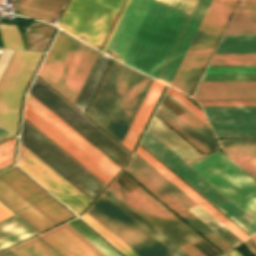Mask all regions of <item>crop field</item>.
Here are the masks:
<instances>
[{"label":"crop field","instance_id":"b54c1fbb","mask_svg":"<svg viewBox=\"0 0 256 256\" xmlns=\"http://www.w3.org/2000/svg\"><path fill=\"white\" fill-rule=\"evenodd\" d=\"M156 115H158L162 120L169 124L173 129L180 133L184 138H186L190 143L197 147L204 154L209 152L202 145H200L196 140H194L190 135L183 131L179 126H177L173 121H171L167 116H165L161 111L157 109Z\"/></svg>","mask_w":256,"mask_h":256},{"label":"crop field","instance_id":"c035e120","mask_svg":"<svg viewBox=\"0 0 256 256\" xmlns=\"http://www.w3.org/2000/svg\"><path fill=\"white\" fill-rule=\"evenodd\" d=\"M205 74H256V67H208Z\"/></svg>","mask_w":256,"mask_h":256},{"label":"crop field","instance_id":"412701ff","mask_svg":"<svg viewBox=\"0 0 256 256\" xmlns=\"http://www.w3.org/2000/svg\"><path fill=\"white\" fill-rule=\"evenodd\" d=\"M107 189L188 256L219 255L122 173Z\"/></svg>","mask_w":256,"mask_h":256},{"label":"crop field","instance_id":"1d79db26","mask_svg":"<svg viewBox=\"0 0 256 256\" xmlns=\"http://www.w3.org/2000/svg\"><path fill=\"white\" fill-rule=\"evenodd\" d=\"M0 256H16L14 253H12L10 250L1 253Z\"/></svg>","mask_w":256,"mask_h":256},{"label":"crop field","instance_id":"750c4746","mask_svg":"<svg viewBox=\"0 0 256 256\" xmlns=\"http://www.w3.org/2000/svg\"><path fill=\"white\" fill-rule=\"evenodd\" d=\"M215 53H256V36H224Z\"/></svg>","mask_w":256,"mask_h":256},{"label":"crop field","instance_id":"a9b5d70f","mask_svg":"<svg viewBox=\"0 0 256 256\" xmlns=\"http://www.w3.org/2000/svg\"><path fill=\"white\" fill-rule=\"evenodd\" d=\"M163 84L153 81L124 141L123 145L127 147L130 151L132 150L162 88Z\"/></svg>","mask_w":256,"mask_h":256},{"label":"crop field","instance_id":"1d83c4d3","mask_svg":"<svg viewBox=\"0 0 256 256\" xmlns=\"http://www.w3.org/2000/svg\"><path fill=\"white\" fill-rule=\"evenodd\" d=\"M18 256H59L37 237L11 248Z\"/></svg>","mask_w":256,"mask_h":256},{"label":"crop field","instance_id":"ac0d7876","mask_svg":"<svg viewBox=\"0 0 256 256\" xmlns=\"http://www.w3.org/2000/svg\"><path fill=\"white\" fill-rule=\"evenodd\" d=\"M151 82L112 60L85 114L122 142Z\"/></svg>","mask_w":256,"mask_h":256},{"label":"crop field","instance_id":"eef30255","mask_svg":"<svg viewBox=\"0 0 256 256\" xmlns=\"http://www.w3.org/2000/svg\"><path fill=\"white\" fill-rule=\"evenodd\" d=\"M36 234L16 216L0 223V250Z\"/></svg>","mask_w":256,"mask_h":256},{"label":"crop field","instance_id":"5866460e","mask_svg":"<svg viewBox=\"0 0 256 256\" xmlns=\"http://www.w3.org/2000/svg\"><path fill=\"white\" fill-rule=\"evenodd\" d=\"M209 64H256V54H214Z\"/></svg>","mask_w":256,"mask_h":256},{"label":"crop field","instance_id":"4a817a6b","mask_svg":"<svg viewBox=\"0 0 256 256\" xmlns=\"http://www.w3.org/2000/svg\"><path fill=\"white\" fill-rule=\"evenodd\" d=\"M38 237L61 256H104L66 223Z\"/></svg>","mask_w":256,"mask_h":256},{"label":"crop field","instance_id":"5a996713","mask_svg":"<svg viewBox=\"0 0 256 256\" xmlns=\"http://www.w3.org/2000/svg\"><path fill=\"white\" fill-rule=\"evenodd\" d=\"M120 168L131 157L119 145L35 78L29 92Z\"/></svg>","mask_w":256,"mask_h":256},{"label":"crop field","instance_id":"1f2cbd36","mask_svg":"<svg viewBox=\"0 0 256 256\" xmlns=\"http://www.w3.org/2000/svg\"><path fill=\"white\" fill-rule=\"evenodd\" d=\"M13 215L12 212H10L6 207H4L1 203H0V220H3L9 216Z\"/></svg>","mask_w":256,"mask_h":256},{"label":"crop field","instance_id":"028f5c9d","mask_svg":"<svg viewBox=\"0 0 256 256\" xmlns=\"http://www.w3.org/2000/svg\"><path fill=\"white\" fill-rule=\"evenodd\" d=\"M159 110H161L165 115H167L171 120H173L177 125L184 129L188 134H190L194 139H196L200 144H202L209 151L215 149L208 141H206L202 136H200L196 131H194L190 126H188L183 120H181L177 115H175L171 110H169L165 105L160 103Z\"/></svg>","mask_w":256,"mask_h":256},{"label":"crop field","instance_id":"120bbe31","mask_svg":"<svg viewBox=\"0 0 256 256\" xmlns=\"http://www.w3.org/2000/svg\"><path fill=\"white\" fill-rule=\"evenodd\" d=\"M67 224H69L73 229H75L79 234H81L85 239H87L106 256H120L117 252H115L111 247H109L105 242H103L99 237H97L77 219L69 221L67 222Z\"/></svg>","mask_w":256,"mask_h":256},{"label":"crop field","instance_id":"d9b57169","mask_svg":"<svg viewBox=\"0 0 256 256\" xmlns=\"http://www.w3.org/2000/svg\"><path fill=\"white\" fill-rule=\"evenodd\" d=\"M129 0H127L118 20L116 21L103 49L102 52L104 51H109L110 53H112L113 55H111V57H113L114 55L118 56L119 58L123 59L125 58L153 0H131L108 47L109 49L113 50L114 52L118 53H114L111 50L107 49L106 46L128 4ZM115 57V59L119 60V61H123L119 58Z\"/></svg>","mask_w":256,"mask_h":256},{"label":"crop field","instance_id":"22f410ed","mask_svg":"<svg viewBox=\"0 0 256 256\" xmlns=\"http://www.w3.org/2000/svg\"><path fill=\"white\" fill-rule=\"evenodd\" d=\"M17 165L77 214L90 202L21 144Z\"/></svg>","mask_w":256,"mask_h":256},{"label":"crop field","instance_id":"d1516ede","mask_svg":"<svg viewBox=\"0 0 256 256\" xmlns=\"http://www.w3.org/2000/svg\"><path fill=\"white\" fill-rule=\"evenodd\" d=\"M41 54L16 50L0 81V125L14 134L22 92Z\"/></svg>","mask_w":256,"mask_h":256},{"label":"crop field","instance_id":"dbb93151","mask_svg":"<svg viewBox=\"0 0 256 256\" xmlns=\"http://www.w3.org/2000/svg\"><path fill=\"white\" fill-rule=\"evenodd\" d=\"M248 249L256 256V245L252 242V240L249 238L245 242H243Z\"/></svg>","mask_w":256,"mask_h":256},{"label":"crop field","instance_id":"425ffa30","mask_svg":"<svg viewBox=\"0 0 256 256\" xmlns=\"http://www.w3.org/2000/svg\"><path fill=\"white\" fill-rule=\"evenodd\" d=\"M167 92L171 94L175 99H177L181 104H183L187 109H189L194 115H196L200 120H202L206 125L207 122L202 114V112L191 102H189L187 99H185L183 96H181L178 92H176L172 88H168Z\"/></svg>","mask_w":256,"mask_h":256},{"label":"crop field","instance_id":"730fd06b","mask_svg":"<svg viewBox=\"0 0 256 256\" xmlns=\"http://www.w3.org/2000/svg\"><path fill=\"white\" fill-rule=\"evenodd\" d=\"M109 58L98 53L75 101L74 105L84 111L107 63Z\"/></svg>","mask_w":256,"mask_h":256},{"label":"crop field","instance_id":"b80d0937","mask_svg":"<svg viewBox=\"0 0 256 256\" xmlns=\"http://www.w3.org/2000/svg\"><path fill=\"white\" fill-rule=\"evenodd\" d=\"M81 218L85 220L89 225H91L95 230H97L101 235H103L107 240H109L113 245H115L119 250H121L125 255L137 256L112 234L105 230L101 225H99L95 220H93L89 215L85 213Z\"/></svg>","mask_w":256,"mask_h":256},{"label":"crop field","instance_id":"bc2a9ffb","mask_svg":"<svg viewBox=\"0 0 256 256\" xmlns=\"http://www.w3.org/2000/svg\"><path fill=\"white\" fill-rule=\"evenodd\" d=\"M192 98L195 100L256 99V81L200 82Z\"/></svg>","mask_w":256,"mask_h":256},{"label":"crop field","instance_id":"cbeb9de0","mask_svg":"<svg viewBox=\"0 0 256 256\" xmlns=\"http://www.w3.org/2000/svg\"><path fill=\"white\" fill-rule=\"evenodd\" d=\"M202 108L217 137L256 136V106Z\"/></svg>","mask_w":256,"mask_h":256},{"label":"crop field","instance_id":"0fb4a251","mask_svg":"<svg viewBox=\"0 0 256 256\" xmlns=\"http://www.w3.org/2000/svg\"><path fill=\"white\" fill-rule=\"evenodd\" d=\"M1 128V127H0ZM7 133H9L8 131H6L5 129H0V137L1 136H3V135H5V134H7ZM11 136H13L11 133H9V134H7V135H5V136H3V137H1L0 138V142L1 141H3V140H5V139H7V138H9V137H11Z\"/></svg>","mask_w":256,"mask_h":256},{"label":"crop field","instance_id":"e52e79f7","mask_svg":"<svg viewBox=\"0 0 256 256\" xmlns=\"http://www.w3.org/2000/svg\"><path fill=\"white\" fill-rule=\"evenodd\" d=\"M235 3L236 0H212L171 86L190 96Z\"/></svg>","mask_w":256,"mask_h":256},{"label":"crop field","instance_id":"00972430","mask_svg":"<svg viewBox=\"0 0 256 256\" xmlns=\"http://www.w3.org/2000/svg\"><path fill=\"white\" fill-rule=\"evenodd\" d=\"M0 200L32 225L39 232L53 226L47 219L29 206L19 196L0 182Z\"/></svg>","mask_w":256,"mask_h":256},{"label":"crop field","instance_id":"8a807250","mask_svg":"<svg viewBox=\"0 0 256 256\" xmlns=\"http://www.w3.org/2000/svg\"><path fill=\"white\" fill-rule=\"evenodd\" d=\"M140 144L247 233L256 232V182L221 153L217 151L190 166L255 220L147 131Z\"/></svg>","mask_w":256,"mask_h":256},{"label":"crop field","instance_id":"3316defc","mask_svg":"<svg viewBox=\"0 0 256 256\" xmlns=\"http://www.w3.org/2000/svg\"><path fill=\"white\" fill-rule=\"evenodd\" d=\"M86 213L138 256H175L102 195Z\"/></svg>","mask_w":256,"mask_h":256},{"label":"crop field","instance_id":"ae1a2a85","mask_svg":"<svg viewBox=\"0 0 256 256\" xmlns=\"http://www.w3.org/2000/svg\"><path fill=\"white\" fill-rule=\"evenodd\" d=\"M114 205H116L120 210H122L126 215L133 219L137 224L144 228L148 233L155 237L159 242L166 246L170 251H172L176 256H187L174 244H172L168 239H166L162 234H160L156 229L149 225L145 220H143L139 215H137L133 210L126 206L122 201H120L116 196H114L107 189L102 194Z\"/></svg>","mask_w":256,"mask_h":256},{"label":"crop field","instance_id":"28ad6ade","mask_svg":"<svg viewBox=\"0 0 256 256\" xmlns=\"http://www.w3.org/2000/svg\"><path fill=\"white\" fill-rule=\"evenodd\" d=\"M20 143L90 201L104 187L24 121Z\"/></svg>","mask_w":256,"mask_h":256},{"label":"crop field","instance_id":"9d1cf04e","mask_svg":"<svg viewBox=\"0 0 256 256\" xmlns=\"http://www.w3.org/2000/svg\"><path fill=\"white\" fill-rule=\"evenodd\" d=\"M225 256H227V255H225ZM228 256H240V255L236 251H234V252L228 254Z\"/></svg>","mask_w":256,"mask_h":256},{"label":"crop field","instance_id":"92a150f3","mask_svg":"<svg viewBox=\"0 0 256 256\" xmlns=\"http://www.w3.org/2000/svg\"><path fill=\"white\" fill-rule=\"evenodd\" d=\"M147 131L182 158L186 163H190L202 156L155 116Z\"/></svg>","mask_w":256,"mask_h":256},{"label":"crop field","instance_id":"d3111659","mask_svg":"<svg viewBox=\"0 0 256 256\" xmlns=\"http://www.w3.org/2000/svg\"><path fill=\"white\" fill-rule=\"evenodd\" d=\"M124 170L127 171L131 176H133L137 181L144 185L148 190H150L154 195H156L160 200H162L180 216L189 212L185 207H183L179 202H177L173 197L166 193L162 188L155 184L151 179H149L131 163Z\"/></svg>","mask_w":256,"mask_h":256},{"label":"crop field","instance_id":"4177f3b9","mask_svg":"<svg viewBox=\"0 0 256 256\" xmlns=\"http://www.w3.org/2000/svg\"><path fill=\"white\" fill-rule=\"evenodd\" d=\"M225 152L256 177V140L220 141Z\"/></svg>","mask_w":256,"mask_h":256},{"label":"crop field","instance_id":"34b2d1b8","mask_svg":"<svg viewBox=\"0 0 256 256\" xmlns=\"http://www.w3.org/2000/svg\"><path fill=\"white\" fill-rule=\"evenodd\" d=\"M196 0H155L154 5L188 17ZM152 5L124 63L157 78L186 17Z\"/></svg>","mask_w":256,"mask_h":256},{"label":"crop field","instance_id":"d8731c3e","mask_svg":"<svg viewBox=\"0 0 256 256\" xmlns=\"http://www.w3.org/2000/svg\"><path fill=\"white\" fill-rule=\"evenodd\" d=\"M123 0H71L59 28L96 47L101 45Z\"/></svg>","mask_w":256,"mask_h":256},{"label":"crop field","instance_id":"c21b1889","mask_svg":"<svg viewBox=\"0 0 256 256\" xmlns=\"http://www.w3.org/2000/svg\"><path fill=\"white\" fill-rule=\"evenodd\" d=\"M182 118L186 123H188L193 129H195L199 134H201L206 140H208L212 145L216 148L219 147L215 137L211 135L207 130H205L201 125H199L195 120H193L189 115L185 112L178 115Z\"/></svg>","mask_w":256,"mask_h":256},{"label":"crop field","instance_id":"214f88e0","mask_svg":"<svg viewBox=\"0 0 256 256\" xmlns=\"http://www.w3.org/2000/svg\"><path fill=\"white\" fill-rule=\"evenodd\" d=\"M211 0H198L179 40L177 41L160 78L171 82ZM161 80V79H159ZM163 81V80H161ZM165 82V81H163ZM167 83V82H165ZM169 84V83H167Z\"/></svg>","mask_w":256,"mask_h":256},{"label":"crop field","instance_id":"733c2abd","mask_svg":"<svg viewBox=\"0 0 256 256\" xmlns=\"http://www.w3.org/2000/svg\"><path fill=\"white\" fill-rule=\"evenodd\" d=\"M131 163L134 164L143 173H145L154 182H156L165 191H167L170 195H172L186 208L195 203L169 180H167L163 175H161L157 170H155L151 165H149L145 160H143L139 155L135 154ZM187 209H189L193 214H195L199 219H201L205 224H207L233 247L242 242L197 204H194Z\"/></svg>","mask_w":256,"mask_h":256},{"label":"crop field","instance_id":"dafd665d","mask_svg":"<svg viewBox=\"0 0 256 256\" xmlns=\"http://www.w3.org/2000/svg\"><path fill=\"white\" fill-rule=\"evenodd\" d=\"M136 153L139 154L143 159H145L178 188H180L183 192H185L188 196H190L193 200H195L202 208H204L210 215H212L222 225L229 229L239 239L243 241L248 238L222 215H220L216 210H214L210 205H208L204 200H202L198 195H196L192 190H190L186 185H184L180 180H178L174 175H172L168 170H166L162 165H160L156 160H154L150 155H148L144 150L138 147Z\"/></svg>","mask_w":256,"mask_h":256},{"label":"crop field","instance_id":"03da06ac","mask_svg":"<svg viewBox=\"0 0 256 256\" xmlns=\"http://www.w3.org/2000/svg\"><path fill=\"white\" fill-rule=\"evenodd\" d=\"M256 75H204L201 81H254Z\"/></svg>","mask_w":256,"mask_h":256},{"label":"crop field","instance_id":"e1f06a70","mask_svg":"<svg viewBox=\"0 0 256 256\" xmlns=\"http://www.w3.org/2000/svg\"><path fill=\"white\" fill-rule=\"evenodd\" d=\"M17 3L59 15L64 4H65V1H61V0H18Z\"/></svg>","mask_w":256,"mask_h":256},{"label":"crop field","instance_id":"5d738f31","mask_svg":"<svg viewBox=\"0 0 256 256\" xmlns=\"http://www.w3.org/2000/svg\"><path fill=\"white\" fill-rule=\"evenodd\" d=\"M15 10L20 11V13H22V14L29 15V16H32V17H35V18H38V19H41V20H44V21H47L50 23L53 18H56V19L58 18V15L46 13L43 11H39V10L25 7V6L18 5V4L16 5Z\"/></svg>","mask_w":256,"mask_h":256},{"label":"crop field","instance_id":"25e5ab78","mask_svg":"<svg viewBox=\"0 0 256 256\" xmlns=\"http://www.w3.org/2000/svg\"><path fill=\"white\" fill-rule=\"evenodd\" d=\"M201 106H246L256 105V101L245 102H199Z\"/></svg>","mask_w":256,"mask_h":256},{"label":"crop field","instance_id":"89e229c0","mask_svg":"<svg viewBox=\"0 0 256 256\" xmlns=\"http://www.w3.org/2000/svg\"><path fill=\"white\" fill-rule=\"evenodd\" d=\"M167 97H169L173 102H175L179 107H181L185 112H187L192 118H194L198 123H200L204 128H206L210 133H212L211 129L206 126L202 121H200L196 116H194L190 111H188L183 105H181L177 100H175L171 95H169L167 92L165 94ZM213 134V133H212Z\"/></svg>","mask_w":256,"mask_h":256},{"label":"crop field","instance_id":"5142ce71","mask_svg":"<svg viewBox=\"0 0 256 256\" xmlns=\"http://www.w3.org/2000/svg\"><path fill=\"white\" fill-rule=\"evenodd\" d=\"M0 181L54 225L72 217L13 167L0 173Z\"/></svg>","mask_w":256,"mask_h":256},{"label":"crop field","instance_id":"bd1437ed","mask_svg":"<svg viewBox=\"0 0 256 256\" xmlns=\"http://www.w3.org/2000/svg\"><path fill=\"white\" fill-rule=\"evenodd\" d=\"M224 35H256V13H235Z\"/></svg>","mask_w":256,"mask_h":256},{"label":"crop field","instance_id":"d32e631a","mask_svg":"<svg viewBox=\"0 0 256 256\" xmlns=\"http://www.w3.org/2000/svg\"><path fill=\"white\" fill-rule=\"evenodd\" d=\"M182 218H184L188 223H190L193 227H195L199 232H201L204 236H206L210 241H212L224 252L233 248L221 237H219L215 232H213L210 228H208L204 223H202L199 219H197L193 214L188 213L182 216Z\"/></svg>","mask_w":256,"mask_h":256},{"label":"crop field","instance_id":"f4fd0767","mask_svg":"<svg viewBox=\"0 0 256 256\" xmlns=\"http://www.w3.org/2000/svg\"><path fill=\"white\" fill-rule=\"evenodd\" d=\"M24 118L105 184L120 169L29 94Z\"/></svg>","mask_w":256,"mask_h":256},{"label":"crop field","instance_id":"447ae74e","mask_svg":"<svg viewBox=\"0 0 256 256\" xmlns=\"http://www.w3.org/2000/svg\"><path fill=\"white\" fill-rule=\"evenodd\" d=\"M255 242H256V235H254L253 237H251Z\"/></svg>","mask_w":256,"mask_h":256},{"label":"crop field","instance_id":"73cf0c24","mask_svg":"<svg viewBox=\"0 0 256 256\" xmlns=\"http://www.w3.org/2000/svg\"><path fill=\"white\" fill-rule=\"evenodd\" d=\"M236 12H256V0H241Z\"/></svg>","mask_w":256,"mask_h":256},{"label":"crop field","instance_id":"d23c7cc5","mask_svg":"<svg viewBox=\"0 0 256 256\" xmlns=\"http://www.w3.org/2000/svg\"><path fill=\"white\" fill-rule=\"evenodd\" d=\"M15 139L16 137L0 144V168L12 162ZM7 150L10 154L5 153Z\"/></svg>","mask_w":256,"mask_h":256},{"label":"crop field","instance_id":"0bd39190","mask_svg":"<svg viewBox=\"0 0 256 256\" xmlns=\"http://www.w3.org/2000/svg\"><path fill=\"white\" fill-rule=\"evenodd\" d=\"M0 32L4 47L24 49L15 25L0 24Z\"/></svg>","mask_w":256,"mask_h":256},{"label":"crop field","instance_id":"dd49c442","mask_svg":"<svg viewBox=\"0 0 256 256\" xmlns=\"http://www.w3.org/2000/svg\"><path fill=\"white\" fill-rule=\"evenodd\" d=\"M60 31L38 75L73 103L98 52Z\"/></svg>","mask_w":256,"mask_h":256}]
</instances>
